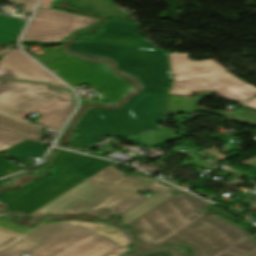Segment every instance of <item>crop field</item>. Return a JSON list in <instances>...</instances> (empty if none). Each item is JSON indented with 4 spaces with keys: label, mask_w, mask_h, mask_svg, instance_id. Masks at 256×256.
<instances>
[{
    "label": "crop field",
    "mask_w": 256,
    "mask_h": 256,
    "mask_svg": "<svg viewBox=\"0 0 256 256\" xmlns=\"http://www.w3.org/2000/svg\"><path fill=\"white\" fill-rule=\"evenodd\" d=\"M154 179H145L140 176H123L112 184L108 185L112 188L116 189H126V190H142L151 183H153Z\"/></svg>",
    "instance_id": "obj_22"
},
{
    "label": "crop field",
    "mask_w": 256,
    "mask_h": 256,
    "mask_svg": "<svg viewBox=\"0 0 256 256\" xmlns=\"http://www.w3.org/2000/svg\"><path fill=\"white\" fill-rule=\"evenodd\" d=\"M167 89L143 88L119 110L87 108L76 125L79 137L69 143L78 148L96 146L105 136H129L159 128L156 120H163L162 103Z\"/></svg>",
    "instance_id": "obj_4"
},
{
    "label": "crop field",
    "mask_w": 256,
    "mask_h": 256,
    "mask_svg": "<svg viewBox=\"0 0 256 256\" xmlns=\"http://www.w3.org/2000/svg\"><path fill=\"white\" fill-rule=\"evenodd\" d=\"M131 242L110 221H52L0 251V256H119L130 249Z\"/></svg>",
    "instance_id": "obj_2"
},
{
    "label": "crop field",
    "mask_w": 256,
    "mask_h": 256,
    "mask_svg": "<svg viewBox=\"0 0 256 256\" xmlns=\"http://www.w3.org/2000/svg\"><path fill=\"white\" fill-rule=\"evenodd\" d=\"M135 27L133 23L107 22L104 34L92 37L91 42L73 43L67 50L94 60L113 58L119 71L140 77L142 87H168L165 53L141 39Z\"/></svg>",
    "instance_id": "obj_3"
},
{
    "label": "crop field",
    "mask_w": 256,
    "mask_h": 256,
    "mask_svg": "<svg viewBox=\"0 0 256 256\" xmlns=\"http://www.w3.org/2000/svg\"><path fill=\"white\" fill-rule=\"evenodd\" d=\"M209 206L183 192L128 226L142 249L184 245L193 249V256H244L256 248L239 226L199 210Z\"/></svg>",
    "instance_id": "obj_1"
},
{
    "label": "crop field",
    "mask_w": 256,
    "mask_h": 256,
    "mask_svg": "<svg viewBox=\"0 0 256 256\" xmlns=\"http://www.w3.org/2000/svg\"><path fill=\"white\" fill-rule=\"evenodd\" d=\"M213 113H218V114H220L222 116H226V117H229V118L233 116L231 114H227V113H223V112H217V111H214Z\"/></svg>",
    "instance_id": "obj_36"
},
{
    "label": "crop field",
    "mask_w": 256,
    "mask_h": 256,
    "mask_svg": "<svg viewBox=\"0 0 256 256\" xmlns=\"http://www.w3.org/2000/svg\"><path fill=\"white\" fill-rule=\"evenodd\" d=\"M9 1H16L21 4H25V8L22 12L24 13H32L34 4L36 0H9Z\"/></svg>",
    "instance_id": "obj_32"
},
{
    "label": "crop field",
    "mask_w": 256,
    "mask_h": 256,
    "mask_svg": "<svg viewBox=\"0 0 256 256\" xmlns=\"http://www.w3.org/2000/svg\"><path fill=\"white\" fill-rule=\"evenodd\" d=\"M147 198L148 197H146V196L136 194V195L132 196L131 198L125 200L124 202L103 212L102 214H100L97 217H109L110 215H113V214H121V213L125 212L126 210L132 208L133 206L137 205L138 203L144 201Z\"/></svg>",
    "instance_id": "obj_25"
},
{
    "label": "crop field",
    "mask_w": 256,
    "mask_h": 256,
    "mask_svg": "<svg viewBox=\"0 0 256 256\" xmlns=\"http://www.w3.org/2000/svg\"><path fill=\"white\" fill-rule=\"evenodd\" d=\"M123 175H125V174L118 171L113 166L109 165L106 168H104L103 170H101L100 172L93 175L91 178H94V179L108 185ZM104 187H106V186H104L100 183H97L94 186H92L91 188H89L88 190H86L83 193H81L80 195H78L77 197L66 202L65 204L61 205L60 207L56 208L55 210H53L52 212H50L48 214H64L65 212L69 211L70 209H72L73 207L78 205L79 203L83 202L84 200H86L87 198H89L90 196L95 194L96 192L103 189Z\"/></svg>",
    "instance_id": "obj_13"
},
{
    "label": "crop field",
    "mask_w": 256,
    "mask_h": 256,
    "mask_svg": "<svg viewBox=\"0 0 256 256\" xmlns=\"http://www.w3.org/2000/svg\"><path fill=\"white\" fill-rule=\"evenodd\" d=\"M249 256H256V252L252 253V254H251V255H249Z\"/></svg>",
    "instance_id": "obj_37"
},
{
    "label": "crop field",
    "mask_w": 256,
    "mask_h": 256,
    "mask_svg": "<svg viewBox=\"0 0 256 256\" xmlns=\"http://www.w3.org/2000/svg\"><path fill=\"white\" fill-rule=\"evenodd\" d=\"M18 171H21V170L0 157V177L6 176Z\"/></svg>",
    "instance_id": "obj_30"
},
{
    "label": "crop field",
    "mask_w": 256,
    "mask_h": 256,
    "mask_svg": "<svg viewBox=\"0 0 256 256\" xmlns=\"http://www.w3.org/2000/svg\"><path fill=\"white\" fill-rule=\"evenodd\" d=\"M178 254L170 249H162L151 253H140L134 249L123 256H176Z\"/></svg>",
    "instance_id": "obj_29"
},
{
    "label": "crop field",
    "mask_w": 256,
    "mask_h": 256,
    "mask_svg": "<svg viewBox=\"0 0 256 256\" xmlns=\"http://www.w3.org/2000/svg\"><path fill=\"white\" fill-rule=\"evenodd\" d=\"M98 22L97 19L77 16L55 9H38L23 40L60 42L73 31L86 28Z\"/></svg>",
    "instance_id": "obj_8"
},
{
    "label": "crop field",
    "mask_w": 256,
    "mask_h": 256,
    "mask_svg": "<svg viewBox=\"0 0 256 256\" xmlns=\"http://www.w3.org/2000/svg\"><path fill=\"white\" fill-rule=\"evenodd\" d=\"M45 51V54L34 57L37 61H39L42 64L58 60L64 57H68L66 55L60 54V52L54 48H48L45 49Z\"/></svg>",
    "instance_id": "obj_26"
},
{
    "label": "crop field",
    "mask_w": 256,
    "mask_h": 256,
    "mask_svg": "<svg viewBox=\"0 0 256 256\" xmlns=\"http://www.w3.org/2000/svg\"><path fill=\"white\" fill-rule=\"evenodd\" d=\"M165 109L169 113H195L198 111L194 100L173 95H168V99L165 103Z\"/></svg>",
    "instance_id": "obj_21"
},
{
    "label": "crop field",
    "mask_w": 256,
    "mask_h": 256,
    "mask_svg": "<svg viewBox=\"0 0 256 256\" xmlns=\"http://www.w3.org/2000/svg\"><path fill=\"white\" fill-rule=\"evenodd\" d=\"M210 93H216L220 98L228 99V100H236L240 102L242 105H244L245 101L241 100L240 98L234 96L233 94L229 93L228 91L224 89L220 90H214V91H207Z\"/></svg>",
    "instance_id": "obj_31"
},
{
    "label": "crop field",
    "mask_w": 256,
    "mask_h": 256,
    "mask_svg": "<svg viewBox=\"0 0 256 256\" xmlns=\"http://www.w3.org/2000/svg\"><path fill=\"white\" fill-rule=\"evenodd\" d=\"M117 191L118 190H114L106 187L67 213H84L85 211L92 208L93 206L100 203L101 201L108 198L109 196L116 193Z\"/></svg>",
    "instance_id": "obj_24"
},
{
    "label": "crop field",
    "mask_w": 256,
    "mask_h": 256,
    "mask_svg": "<svg viewBox=\"0 0 256 256\" xmlns=\"http://www.w3.org/2000/svg\"><path fill=\"white\" fill-rule=\"evenodd\" d=\"M246 107H250V108L256 110V98L249 100L246 104Z\"/></svg>",
    "instance_id": "obj_35"
},
{
    "label": "crop field",
    "mask_w": 256,
    "mask_h": 256,
    "mask_svg": "<svg viewBox=\"0 0 256 256\" xmlns=\"http://www.w3.org/2000/svg\"><path fill=\"white\" fill-rule=\"evenodd\" d=\"M64 93L44 83L0 80V112L14 116Z\"/></svg>",
    "instance_id": "obj_9"
},
{
    "label": "crop field",
    "mask_w": 256,
    "mask_h": 256,
    "mask_svg": "<svg viewBox=\"0 0 256 256\" xmlns=\"http://www.w3.org/2000/svg\"><path fill=\"white\" fill-rule=\"evenodd\" d=\"M47 149L46 146L26 140L5 150V152L24 162L34 156L42 158Z\"/></svg>",
    "instance_id": "obj_18"
},
{
    "label": "crop field",
    "mask_w": 256,
    "mask_h": 256,
    "mask_svg": "<svg viewBox=\"0 0 256 256\" xmlns=\"http://www.w3.org/2000/svg\"><path fill=\"white\" fill-rule=\"evenodd\" d=\"M26 20L0 16V45L16 39Z\"/></svg>",
    "instance_id": "obj_20"
},
{
    "label": "crop field",
    "mask_w": 256,
    "mask_h": 256,
    "mask_svg": "<svg viewBox=\"0 0 256 256\" xmlns=\"http://www.w3.org/2000/svg\"><path fill=\"white\" fill-rule=\"evenodd\" d=\"M232 121L251 124L256 127V112L249 109H244L243 112L232 119Z\"/></svg>",
    "instance_id": "obj_28"
},
{
    "label": "crop field",
    "mask_w": 256,
    "mask_h": 256,
    "mask_svg": "<svg viewBox=\"0 0 256 256\" xmlns=\"http://www.w3.org/2000/svg\"><path fill=\"white\" fill-rule=\"evenodd\" d=\"M107 165H109L108 161L98 159L95 162H93L92 164H90L89 166H87L84 169H82L81 171H79L77 174L90 177L93 174H95L96 172H98L99 170L106 167Z\"/></svg>",
    "instance_id": "obj_27"
},
{
    "label": "crop field",
    "mask_w": 256,
    "mask_h": 256,
    "mask_svg": "<svg viewBox=\"0 0 256 256\" xmlns=\"http://www.w3.org/2000/svg\"><path fill=\"white\" fill-rule=\"evenodd\" d=\"M174 189H176V188L175 187L168 188V187L162 186L158 183V181H156L153 184H151L150 186H148L147 188H145L144 190H161L166 193H170Z\"/></svg>",
    "instance_id": "obj_33"
},
{
    "label": "crop field",
    "mask_w": 256,
    "mask_h": 256,
    "mask_svg": "<svg viewBox=\"0 0 256 256\" xmlns=\"http://www.w3.org/2000/svg\"><path fill=\"white\" fill-rule=\"evenodd\" d=\"M95 160L96 158H85L62 151L54 160L55 166L62 169L18 190L0 192V202L11 212L22 211L29 215L86 179L87 177L75 173Z\"/></svg>",
    "instance_id": "obj_5"
},
{
    "label": "crop field",
    "mask_w": 256,
    "mask_h": 256,
    "mask_svg": "<svg viewBox=\"0 0 256 256\" xmlns=\"http://www.w3.org/2000/svg\"><path fill=\"white\" fill-rule=\"evenodd\" d=\"M42 127L18 121L0 114V151L5 150L26 139L37 140L44 136L39 135Z\"/></svg>",
    "instance_id": "obj_12"
},
{
    "label": "crop field",
    "mask_w": 256,
    "mask_h": 256,
    "mask_svg": "<svg viewBox=\"0 0 256 256\" xmlns=\"http://www.w3.org/2000/svg\"><path fill=\"white\" fill-rule=\"evenodd\" d=\"M0 210H3V208H0Z\"/></svg>",
    "instance_id": "obj_38"
},
{
    "label": "crop field",
    "mask_w": 256,
    "mask_h": 256,
    "mask_svg": "<svg viewBox=\"0 0 256 256\" xmlns=\"http://www.w3.org/2000/svg\"><path fill=\"white\" fill-rule=\"evenodd\" d=\"M95 183H97V182H95V181H93L89 178L84 180L80 184L76 185L72 189L68 190L67 192H65L64 194H62L61 196H59L58 198H56L55 200H53L52 202L47 204L46 206L42 207L38 211L31 214L30 215L31 216L30 222L33 223L35 217L42 216V215L52 211L56 207L60 206L61 204L65 203L66 201H68V200L72 199L73 197L77 196L78 194H80L81 192L86 190L87 188L91 187Z\"/></svg>",
    "instance_id": "obj_17"
},
{
    "label": "crop field",
    "mask_w": 256,
    "mask_h": 256,
    "mask_svg": "<svg viewBox=\"0 0 256 256\" xmlns=\"http://www.w3.org/2000/svg\"><path fill=\"white\" fill-rule=\"evenodd\" d=\"M175 131L170 130L168 128L157 130L154 132L146 133L143 135L135 136L132 138L124 139L129 142L142 145L145 147H153L157 145H161L175 137L177 135L174 134Z\"/></svg>",
    "instance_id": "obj_19"
},
{
    "label": "crop field",
    "mask_w": 256,
    "mask_h": 256,
    "mask_svg": "<svg viewBox=\"0 0 256 256\" xmlns=\"http://www.w3.org/2000/svg\"><path fill=\"white\" fill-rule=\"evenodd\" d=\"M136 191H119L116 194L112 195L108 199L104 200L100 204L96 205L92 209L88 210L84 214L91 215L93 217L99 215L103 211L107 210L108 208L124 201L125 199L129 198L130 196L136 194ZM109 210V209H108Z\"/></svg>",
    "instance_id": "obj_23"
},
{
    "label": "crop field",
    "mask_w": 256,
    "mask_h": 256,
    "mask_svg": "<svg viewBox=\"0 0 256 256\" xmlns=\"http://www.w3.org/2000/svg\"><path fill=\"white\" fill-rule=\"evenodd\" d=\"M55 0H41L39 8H53L52 2Z\"/></svg>",
    "instance_id": "obj_34"
},
{
    "label": "crop field",
    "mask_w": 256,
    "mask_h": 256,
    "mask_svg": "<svg viewBox=\"0 0 256 256\" xmlns=\"http://www.w3.org/2000/svg\"><path fill=\"white\" fill-rule=\"evenodd\" d=\"M0 78L50 82L65 88L59 81L25 57L18 48L7 53L0 60Z\"/></svg>",
    "instance_id": "obj_10"
},
{
    "label": "crop field",
    "mask_w": 256,
    "mask_h": 256,
    "mask_svg": "<svg viewBox=\"0 0 256 256\" xmlns=\"http://www.w3.org/2000/svg\"><path fill=\"white\" fill-rule=\"evenodd\" d=\"M21 217V214H14ZM13 216V215H11ZM9 216V217H11ZM9 217L1 218L0 219V250L5 249L12 244L16 243L20 239L24 238L25 236L29 235L30 233L34 232L38 228L42 227L43 225L47 224L48 222L52 221V218L55 217H46L42 220L38 225L33 228H26L21 225L12 223L7 221L6 219Z\"/></svg>",
    "instance_id": "obj_14"
},
{
    "label": "crop field",
    "mask_w": 256,
    "mask_h": 256,
    "mask_svg": "<svg viewBox=\"0 0 256 256\" xmlns=\"http://www.w3.org/2000/svg\"><path fill=\"white\" fill-rule=\"evenodd\" d=\"M45 67L55 72L73 87L87 83L113 102H119L127 83L113 77L94 64L73 57L64 58Z\"/></svg>",
    "instance_id": "obj_7"
},
{
    "label": "crop field",
    "mask_w": 256,
    "mask_h": 256,
    "mask_svg": "<svg viewBox=\"0 0 256 256\" xmlns=\"http://www.w3.org/2000/svg\"><path fill=\"white\" fill-rule=\"evenodd\" d=\"M72 110L73 95L69 92L14 117L24 120L27 115L38 111L39 115L42 117L34 123L51 129L60 130L70 116Z\"/></svg>",
    "instance_id": "obj_11"
},
{
    "label": "crop field",
    "mask_w": 256,
    "mask_h": 256,
    "mask_svg": "<svg viewBox=\"0 0 256 256\" xmlns=\"http://www.w3.org/2000/svg\"><path fill=\"white\" fill-rule=\"evenodd\" d=\"M173 86L169 94L192 96V92L224 88L245 100L256 95V88L232 76L213 59L193 61L187 53L169 54Z\"/></svg>",
    "instance_id": "obj_6"
},
{
    "label": "crop field",
    "mask_w": 256,
    "mask_h": 256,
    "mask_svg": "<svg viewBox=\"0 0 256 256\" xmlns=\"http://www.w3.org/2000/svg\"><path fill=\"white\" fill-rule=\"evenodd\" d=\"M116 5L109 0H72L70 4L73 9L85 13L98 12L108 17H132Z\"/></svg>",
    "instance_id": "obj_15"
},
{
    "label": "crop field",
    "mask_w": 256,
    "mask_h": 256,
    "mask_svg": "<svg viewBox=\"0 0 256 256\" xmlns=\"http://www.w3.org/2000/svg\"><path fill=\"white\" fill-rule=\"evenodd\" d=\"M166 194H162L160 192L156 193L149 199L145 200L144 202L138 204L137 206L133 207L132 209L126 211L125 213L121 214V223L126 226L131 222L135 221L139 217L143 216L147 212L151 211L155 207L159 206L163 202L167 201L174 195L167 197Z\"/></svg>",
    "instance_id": "obj_16"
}]
</instances>
